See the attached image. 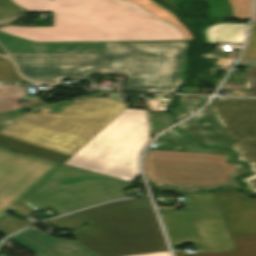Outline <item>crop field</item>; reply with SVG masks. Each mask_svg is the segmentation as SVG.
<instances>
[{
	"label": "crop field",
	"mask_w": 256,
	"mask_h": 256,
	"mask_svg": "<svg viewBox=\"0 0 256 256\" xmlns=\"http://www.w3.org/2000/svg\"><path fill=\"white\" fill-rule=\"evenodd\" d=\"M31 12H53V27L0 31L35 42L185 40L171 23L126 0H10Z\"/></svg>",
	"instance_id": "obj_1"
},
{
	"label": "crop field",
	"mask_w": 256,
	"mask_h": 256,
	"mask_svg": "<svg viewBox=\"0 0 256 256\" xmlns=\"http://www.w3.org/2000/svg\"><path fill=\"white\" fill-rule=\"evenodd\" d=\"M121 95L84 98L51 113H29L0 132V146L63 164L129 104Z\"/></svg>",
	"instance_id": "obj_2"
},
{
	"label": "crop field",
	"mask_w": 256,
	"mask_h": 256,
	"mask_svg": "<svg viewBox=\"0 0 256 256\" xmlns=\"http://www.w3.org/2000/svg\"><path fill=\"white\" fill-rule=\"evenodd\" d=\"M74 214L88 224L71 231V235L101 256L168 250L148 197L107 203Z\"/></svg>",
	"instance_id": "obj_3"
},
{
	"label": "crop field",
	"mask_w": 256,
	"mask_h": 256,
	"mask_svg": "<svg viewBox=\"0 0 256 256\" xmlns=\"http://www.w3.org/2000/svg\"><path fill=\"white\" fill-rule=\"evenodd\" d=\"M148 141L145 110L125 109L64 164L131 182Z\"/></svg>",
	"instance_id": "obj_4"
},
{
	"label": "crop field",
	"mask_w": 256,
	"mask_h": 256,
	"mask_svg": "<svg viewBox=\"0 0 256 256\" xmlns=\"http://www.w3.org/2000/svg\"><path fill=\"white\" fill-rule=\"evenodd\" d=\"M187 43L107 44L100 74L128 76L126 89L174 92Z\"/></svg>",
	"instance_id": "obj_5"
},
{
	"label": "crop field",
	"mask_w": 256,
	"mask_h": 256,
	"mask_svg": "<svg viewBox=\"0 0 256 256\" xmlns=\"http://www.w3.org/2000/svg\"><path fill=\"white\" fill-rule=\"evenodd\" d=\"M229 157L148 150L143 167L146 178L158 189L185 193L223 185L241 188L233 178L246 169L243 165L228 163Z\"/></svg>",
	"instance_id": "obj_6"
},
{
	"label": "crop field",
	"mask_w": 256,
	"mask_h": 256,
	"mask_svg": "<svg viewBox=\"0 0 256 256\" xmlns=\"http://www.w3.org/2000/svg\"><path fill=\"white\" fill-rule=\"evenodd\" d=\"M137 185L61 165L29 197L58 215L101 202L128 197L122 190Z\"/></svg>",
	"instance_id": "obj_7"
},
{
	"label": "crop field",
	"mask_w": 256,
	"mask_h": 256,
	"mask_svg": "<svg viewBox=\"0 0 256 256\" xmlns=\"http://www.w3.org/2000/svg\"><path fill=\"white\" fill-rule=\"evenodd\" d=\"M224 188L210 194H186L191 209L174 211L163 208L159 214L171 244L195 242L199 252L233 250L225 224L212 194L233 193ZM200 195V198H197Z\"/></svg>",
	"instance_id": "obj_8"
},
{
	"label": "crop field",
	"mask_w": 256,
	"mask_h": 256,
	"mask_svg": "<svg viewBox=\"0 0 256 256\" xmlns=\"http://www.w3.org/2000/svg\"><path fill=\"white\" fill-rule=\"evenodd\" d=\"M231 137L237 160L250 164L252 177L240 179L256 193V99L214 98L208 106Z\"/></svg>",
	"instance_id": "obj_9"
},
{
	"label": "crop field",
	"mask_w": 256,
	"mask_h": 256,
	"mask_svg": "<svg viewBox=\"0 0 256 256\" xmlns=\"http://www.w3.org/2000/svg\"><path fill=\"white\" fill-rule=\"evenodd\" d=\"M59 166L0 148V218Z\"/></svg>",
	"instance_id": "obj_10"
},
{
	"label": "crop field",
	"mask_w": 256,
	"mask_h": 256,
	"mask_svg": "<svg viewBox=\"0 0 256 256\" xmlns=\"http://www.w3.org/2000/svg\"><path fill=\"white\" fill-rule=\"evenodd\" d=\"M20 73L33 81L59 85L62 78L87 79L99 74L104 55L9 53Z\"/></svg>",
	"instance_id": "obj_11"
},
{
	"label": "crop field",
	"mask_w": 256,
	"mask_h": 256,
	"mask_svg": "<svg viewBox=\"0 0 256 256\" xmlns=\"http://www.w3.org/2000/svg\"><path fill=\"white\" fill-rule=\"evenodd\" d=\"M213 196L231 237L256 236V199L242 193Z\"/></svg>",
	"instance_id": "obj_12"
},
{
	"label": "crop field",
	"mask_w": 256,
	"mask_h": 256,
	"mask_svg": "<svg viewBox=\"0 0 256 256\" xmlns=\"http://www.w3.org/2000/svg\"><path fill=\"white\" fill-rule=\"evenodd\" d=\"M146 42H188V41H146ZM146 42H55L35 43L0 32V43L8 52L33 53H81L104 54L106 43H146Z\"/></svg>",
	"instance_id": "obj_13"
},
{
	"label": "crop field",
	"mask_w": 256,
	"mask_h": 256,
	"mask_svg": "<svg viewBox=\"0 0 256 256\" xmlns=\"http://www.w3.org/2000/svg\"><path fill=\"white\" fill-rule=\"evenodd\" d=\"M10 238L37 251L35 256H100L76 241L53 238L33 227Z\"/></svg>",
	"instance_id": "obj_14"
},
{
	"label": "crop field",
	"mask_w": 256,
	"mask_h": 256,
	"mask_svg": "<svg viewBox=\"0 0 256 256\" xmlns=\"http://www.w3.org/2000/svg\"><path fill=\"white\" fill-rule=\"evenodd\" d=\"M179 127L204 144L230 146L234 142L226 135L207 109Z\"/></svg>",
	"instance_id": "obj_15"
},
{
	"label": "crop field",
	"mask_w": 256,
	"mask_h": 256,
	"mask_svg": "<svg viewBox=\"0 0 256 256\" xmlns=\"http://www.w3.org/2000/svg\"><path fill=\"white\" fill-rule=\"evenodd\" d=\"M153 144H157L156 148L149 149L173 152L232 155L231 151H224L219 148L200 149L196 142L190 141L185 135L177 133L175 128L166 132Z\"/></svg>",
	"instance_id": "obj_16"
},
{
	"label": "crop field",
	"mask_w": 256,
	"mask_h": 256,
	"mask_svg": "<svg viewBox=\"0 0 256 256\" xmlns=\"http://www.w3.org/2000/svg\"><path fill=\"white\" fill-rule=\"evenodd\" d=\"M247 24L220 23L205 28V42L243 43Z\"/></svg>",
	"instance_id": "obj_17"
},
{
	"label": "crop field",
	"mask_w": 256,
	"mask_h": 256,
	"mask_svg": "<svg viewBox=\"0 0 256 256\" xmlns=\"http://www.w3.org/2000/svg\"><path fill=\"white\" fill-rule=\"evenodd\" d=\"M19 92H23V87L0 85V112L40 103V100L36 97L23 98L18 96Z\"/></svg>",
	"instance_id": "obj_18"
},
{
	"label": "crop field",
	"mask_w": 256,
	"mask_h": 256,
	"mask_svg": "<svg viewBox=\"0 0 256 256\" xmlns=\"http://www.w3.org/2000/svg\"><path fill=\"white\" fill-rule=\"evenodd\" d=\"M129 1L137 3L143 8H145L146 10H148L150 13L173 23L181 31V33L184 35L186 40H195L184 28L181 22L177 19V17L174 15L172 10L166 8L159 2L155 0H129Z\"/></svg>",
	"instance_id": "obj_19"
},
{
	"label": "crop field",
	"mask_w": 256,
	"mask_h": 256,
	"mask_svg": "<svg viewBox=\"0 0 256 256\" xmlns=\"http://www.w3.org/2000/svg\"><path fill=\"white\" fill-rule=\"evenodd\" d=\"M187 97H197L196 100L186 99ZM207 97L204 96H180L178 100L179 107H177L173 112L176 114V121L180 120L192 112L196 111L205 102Z\"/></svg>",
	"instance_id": "obj_20"
},
{
	"label": "crop field",
	"mask_w": 256,
	"mask_h": 256,
	"mask_svg": "<svg viewBox=\"0 0 256 256\" xmlns=\"http://www.w3.org/2000/svg\"><path fill=\"white\" fill-rule=\"evenodd\" d=\"M234 18L249 19L250 0H230Z\"/></svg>",
	"instance_id": "obj_21"
},
{
	"label": "crop field",
	"mask_w": 256,
	"mask_h": 256,
	"mask_svg": "<svg viewBox=\"0 0 256 256\" xmlns=\"http://www.w3.org/2000/svg\"><path fill=\"white\" fill-rule=\"evenodd\" d=\"M151 128L153 131L159 132L165 127L172 124V118L165 113H149Z\"/></svg>",
	"instance_id": "obj_22"
},
{
	"label": "crop field",
	"mask_w": 256,
	"mask_h": 256,
	"mask_svg": "<svg viewBox=\"0 0 256 256\" xmlns=\"http://www.w3.org/2000/svg\"><path fill=\"white\" fill-rule=\"evenodd\" d=\"M240 60L256 61V24L251 27L247 48Z\"/></svg>",
	"instance_id": "obj_23"
},
{
	"label": "crop field",
	"mask_w": 256,
	"mask_h": 256,
	"mask_svg": "<svg viewBox=\"0 0 256 256\" xmlns=\"http://www.w3.org/2000/svg\"><path fill=\"white\" fill-rule=\"evenodd\" d=\"M24 11L9 0H0V20L22 14Z\"/></svg>",
	"instance_id": "obj_24"
},
{
	"label": "crop field",
	"mask_w": 256,
	"mask_h": 256,
	"mask_svg": "<svg viewBox=\"0 0 256 256\" xmlns=\"http://www.w3.org/2000/svg\"><path fill=\"white\" fill-rule=\"evenodd\" d=\"M245 96H256V68H245Z\"/></svg>",
	"instance_id": "obj_25"
},
{
	"label": "crop field",
	"mask_w": 256,
	"mask_h": 256,
	"mask_svg": "<svg viewBox=\"0 0 256 256\" xmlns=\"http://www.w3.org/2000/svg\"><path fill=\"white\" fill-rule=\"evenodd\" d=\"M175 256H256L254 251H231V252H218V253H204V254H190L183 255L173 252Z\"/></svg>",
	"instance_id": "obj_26"
},
{
	"label": "crop field",
	"mask_w": 256,
	"mask_h": 256,
	"mask_svg": "<svg viewBox=\"0 0 256 256\" xmlns=\"http://www.w3.org/2000/svg\"><path fill=\"white\" fill-rule=\"evenodd\" d=\"M236 250H255L256 237L233 238Z\"/></svg>",
	"instance_id": "obj_27"
},
{
	"label": "crop field",
	"mask_w": 256,
	"mask_h": 256,
	"mask_svg": "<svg viewBox=\"0 0 256 256\" xmlns=\"http://www.w3.org/2000/svg\"><path fill=\"white\" fill-rule=\"evenodd\" d=\"M0 81L24 82L17 76L14 67H0Z\"/></svg>",
	"instance_id": "obj_28"
},
{
	"label": "crop field",
	"mask_w": 256,
	"mask_h": 256,
	"mask_svg": "<svg viewBox=\"0 0 256 256\" xmlns=\"http://www.w3.org/2000/svg\"><path fill=\"white\" fill-rule=\"evenodd\" d=\"M222 89H244V76H229Z\"/></svg>",
	"instance_id": "obj_29"
},
{
	"label": "crop field",
	"mask_w": 256,
	"mask_h": 256,
	"mask_svg": "<svg viewBox=\"0 0 256 256\" xmlns=\"http://www.w3.org/2000/svg\"><path fill=\"white\" fill-rule=\"evenodd\" d=\"M17 112H19V111L17 109H15V110H11V111L0 113V131L4 127H6V126L2 125V123L5 122L7 119H9L14 114H16Z\"/></svg>",
	"instance_id": "obj_30"
},
{
	"label": "crop field",
	"mask_w": 256,
	"mask_h": 256,
	"mask_svg": "<svg viewBox=\"0 0 256 256\" xmlns=\"http://www.w3.org/2000/svg\"><path fill=\"white\" fill-rule=\"evenodd\" d=\"M132 256H170L168 251L164 252H156V253H148V254H140V255H132Z\"/></svg>",
	"instance_id": "obj_31"
},
{
	"label": "crop field",
	"mask_w": 256,
	"mask_h": 256,
	"mask_svg": "<svg viewBox=\"0 0 256 256\" xmlns=\"http://www.w3.org/2000/svg\"><path fill=\"white\" fill-rule=\"evenodd\" d=\"M0 66H13V64L5 58L0 57Z\"/></svg>",
	"instance_id": "obj_32"
},
{
	"label": "crop field",
	"mask_w": 256,
	"mask_h": 256,
	"mask_svg": "<svg viewBox=\"0 0 256 256\" xmlns=\"http://www.w3.org/2000/svg\"><path fill=\"white\" fill-rule=\"evenodd\" d=\"M236 67H256V63H238Z\"/></svg>",
	"instance_id": "obj_33"
},
{
	"label": "crop field",
	"mask_w": 256,
	"mask_h": 256,
	"mask_svg": "<svg viewBox=\"0 0 256 256\" xmlns=\"http://www.w3.org/2000/svg\"><path fill=\"white\" fill-rule=\"evenodd\" d=\"M16 17L17 16L0 21V26L12 23Z\"/></svg>",
	"instance_id": "obj_34"
},
{
	"label": "crop field",
	"mask_w": 256,
	"mask_h": 256,
	"mask_svg": "<svg viewBox=\"0 0 256 256\" xmlns=\"http://www.w3.org/2000/svg\"><path fill=\"white\" fill-rule=\"evenodd\" d=\"M253 23H256V3H255L254 15H253Z\"/></svg>",
	"instance_id": "obj_35"
},
{
	"label": "crop field",
	"mask_w": 256,
	"mask_h": 256,
	"mask_svg": "<svg viewBox=\"0 0 256 256\" xmlns=\"http://www.w3.org/2000/svg\"><path fill=\"white\" fill-rule=\"evenodd\" d=\"M0 54L5 55V52L0 48Z\"/></svg>",
	"instance_id": "obj_36"
}]
</instances>
